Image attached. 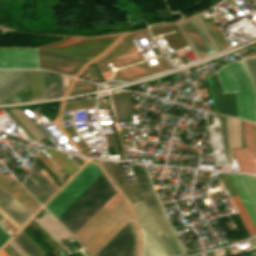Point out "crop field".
<instances>
[{
    "label": "crop field",
    "instance_id": "crop-field-1",
    "mask_svg": "<svg viewBox=\"0 0 256 256\" xmlns=\"http://www.w3.org/2000/svg\"><path fill=\"white\" fill-rule=\"evenodd\" d=\"M115 192L102 173L57 220L73 236Z\"/></svg>",
    "mask_w": 256,
    "mask_h": 256
},
{
    "label": "crop field",
    "instance_id": "crop-field-2",
    "mask_svg": "<svg viewBox=\"0 0 256 256\" xmlns=\"http://www.w3.org/2000/svg\"><path fill=\"white\" fill-rule=\"evenodd\" d=\"M223 92L235 91L238 117L256 122L255 93L241 60L226 64L216 72Z\"/></svg>",
    "mask_w": 256,
    "mask_h": 256
},
{
    "label": "crop field",
    "instance_id": "crop-field-3",
    "mask_svg": "<svg viewBox=\"0 0 256 256\" xmlns=\"http://www.w3.org/2000/svg\"><path fill=\"white\" fill-rule=\"evenodd\" d=\"M101 173L88 163L44 208L57 219Z\"/></svg>",
    "mask_w": 256,
    "mask_h": 256
},
{
    "label": "crop field",
    "instance_id": "crop-field-4",
    "mask_svg": "<svg viewBox=\"0 0 256 256\" xmlns=\"http://www.w3.org/2000/svg\"><path fill=\"white\" fill-rule=\"evenodd\" d=\"M116 38L117 36L94 39L70 38L40 48L90 60L108 47Z\"/></svg>",
    "mask_w": 256,
    "mask_h": 256
},
{
    "label": "crop field",
    "instance_id": "crop-field-5",
    "mask_svg": "<svg viewBox=\"0 0 256 256\" xmlns=\"http://www.w3.org/2000/svg\"><path fill=\"white\" fill-rule=\"evenodd\" d=\"M32 100L26 70H0V103Z\"/></svg>",
    "mask_w": 256,
    "mask_h": 256
},
{
    "label": "crop field",
    "instance_id": "crop-field-6",
    "mask_svg": "<svg viewBox=\"0 0 256 256\" xmlns=\"http://www.w3.org/2000/svg\"><path fill=\"white\" fill-rule=\"evenodd\" d=\"M143 60L130 34L107 56L94 63L103 80L110 79L111 70L107 63H113V68H118L130 63Z\"/></svg>",
    "mask_w": 256,
    "mask_h": 256
},
{
    "label": "crop field",
    "instance_id": "crop-field-7",
    "mask_svg": "<svg viewBox=\"0 0 256 256\" xmlns=\"http://www.w3.org/2000/svg\"><path fill=\"white\" fill-rule=\"evenodd\" d=\"M94 256H137L133 219L112 237Z\"/></svg>",
    "mask_w": 256,
    "mask_h": 256
},
{
    "label": "crop field",
    "instance_id": "crop-field-8",
    "mask_svg": "<svg viewBox=\"0 0 256 256\" xmlns=\"http://www.w3.org/2000/svg\"><path fill=\"white\" fill-rule=\"evenodd\" d=\"M130 167L133 172V175L136 178L137 184L140 188V191H141L142 196L145 200V203L148 207V210L162 232L159 235L167 243V245L169 246V248L171 249V251L173 252V254L175 256H181V253H180L177 245L175 244L171 234L169 233L168 229L166 228V226H165V224H164V222L154 204V201L149 192L148 186L146 184V181H145V178L143 176L140 166L130 164Z\"/></svg>",
    "mask_w": 256,
    "mask_h": 256
},
{
    "label": "crop field",
    "instance_id": "crop-field-9",
    "mask_svg": "<svg viewBox=\"0 0 256 256\" xmlns=\"http://www.w3.org/2000/svg\"><path fill=\"white\" fill-rule=\"evenodd\" d=\"M244 144L246 148L231 150L239 171L256 173V125L243 121L242 124Z\"/></svg>",
    "mask_w": 256,
    "mask_h": 256
},
{
    "label": "crop field",
    "instance_id": "crop-field-10",
    "mask_svg": "<svg viewBox=\"0 0 256 256\" xmlns=\"http://www.w3.org/2000/svg\"><path fill=\"white\" fill-rule=\"evenodd\" d=\"M102 163L103 167L105 168V170L107 171V173L109 174V176L111 177V179L113 180L114 184L116 185V187L119 189V191L121 192L120 188L118 187V185L116 184L115 180L113 179V177L111 176V174L109 173L107 167L105 166L104 162H100ZM118 173L120 174L122 180L124 181L125 185L127 186V188L129 189V191L131 192L132 196L134 197V199L136 200L137 203L133 204V207L135 209V213L137 216V219L139 221V223L155 238V240L161 245V247L163 248V250L166 252V254L168 256H174L172 254V252L170 251V249L168 248V246L166 245V243L161 239V237L157 234L160 232L159 228L157 227L156 223L154 222V220L152 219V217L150 216L146 205L144 202H138L133 191L131 190L125 176L124 173L119 165V163H115L113 162ZM122 193V192H121ZM123 194V193H122ZM123 196L125 197V195L123 194ZM126 198V197H125ZM127 199V198H126ZM127 201L130 203V201L127 199Z\"/></svg>",
    "mask_w": 256,
    "mask_h": 256
},
{
    "label": "crop field",
    "instance_id": "crop-field-11",
    "mask_svg": "<svg viewBox=\"0 0 256 256\" xmlns=\"http://www.w3.org/2000/svg\"><path fill=\"white\" fill-rule=\"evenodd\" d=\"M0 68H38L37 48L0 49Z\"/></svg>",
    "mask_w": 256,
    "mask_h": 256
},
{
    "label": "crop field",
    "instance_id": "crop-field-12",
    "mask_svg": "<svg viewBox=\"0 0 256 256\" xmlns=\"http://www.w3.org/2000/svg\"><path fill=\"white\" fill-rule=\"evenodd\" d=\"M228 175L256 227V177Z\"/></svg>",
    "mask_w": 256,
    "mask_h": 256
},
{
    "label": "crop field",
    "instance_id": "crop-field-13",
    "mask_svg": "<svg viewBox=\"0 0 256 256\" xmlns=\"http://www.w3.org/2000/svg\"><path fill=\"white\" fill-rule=\"evenodd\" d=\"M213 98L215 112L237 117L234 92L222 93L220 82L215 72L206 77Z\"/></svg>",
    "mask_w": 256,
    "mask_h": 256
},
{
    "label": "crop field",
    "instance_id": "crop-field-14",
    "mask_svg": "<svg viewBox=\"0 0 256 256\" xmlns=\"http://www.w3.org/2000/svg\"><path fill=\"white\" fill-rule=\"evenodd\" d=\"M39 68L55 71L58 73L73 75L83 64L82 62L65 59L38 52Z\"/></svg>",
    "mask_w": 256,
    "mask_h": 256
},
{
    "label": "crop field",
    "instance_id": "crop-field-15",
    "mask_svg": "<svg viewBox=\"0 0 256 256\" xmlns=\"http://www.w3.org/2000/svg\"><path fill=\"white\" fill-rule=\"evenodd\" d=\"M122 200L116 192L73 237L80 243Z\"/></svg>",
    "mask_w": 256,
    "mask_h": 256
},
{
    "label": "crop field",
    "instance_id": "crop-field-16",
    "mask_svg": "<svg viewBox=\"0 0 256 256\" xmlns=\"http://www.w3.org/2000/svg\"><path fill=\"white\" fill-rule=\"evenodd\" d=\"M0 208L20 226L32 215L1 187Z\"/></svg>",
    "mask_w": 256,
    "mask_h": 256
},
{
    "label": "crop field",
    "instance_id": "crop-field-17",
    "mask_svg": "<svg viewBox=\"0 0 256 256\" xmlns=\"http://www.w3.org/2000/svg\"><path fill=\"white\" fill-rule=\"evenodd\" d=\"M168 67L166 63L150 68L146 63L137 64L133 67L125 68L118 70L115 73L116 79L122 80H133L135 78L151 75L163 70H166Z\"/></svg>",
    "mask_w": 256,
    "mask_h": 256
},
{
    "label": "crop field",
    "instance_id": "crop-field-18",
    "mask_svg": "<svg viewBox=\"0 0 256 256\" xmlns=\"http://www.w3.org/2000/svg\"><path fill=\"white\" fill-rule=\"evenodd\" d=\"M219 175H220V177H221V179H222V181H223V183H224L228 193L229 194L230 193H234L235 190H234V188L232 186V183H231L228 175L225 174V173H219ZM230 197H231L233 203L235 204L237 210L239 211V213H240V215H241L245 225L247 226V228L249 229L250 233L252 234V236L256 235V229H255L253 223L251 222V220H250V218H249V216H248L244 206L242 205V203H241L237 193L231 194Z\"/></svg>",
    "mask_w": 256,
    "mask_h": 256
},
{
    "label": "crop field",
    "instance_id": "crop-field-19",
    "mask_svg": "<svg viewBox=\"0 0 256 256\" xmlns=\"http://www.w3.org/2000/svg\"><path fill=\"white\" fill-rule=\"evenodd\" d=\"M140 232L142 235V256H166L160 245L141 226Z\"/></svg>",
    "mask_w": 256,
    "mask_h": 256
},
{
    "label": "crop field",
    "instance_id": "crop-field-20",
    "mask_svg": "<svg viewBox=\"0 0 256 256\" xmlns=\"http://www.w3.org/2000/svg\"><path fill=\"white\" fill-rule=\"evenodd\" d=\"M27 72H28L33 100L43 99L38 70H27ZM41 78H42V73H41ZM42 84H43V79H42ZM43 90H44V87H43Z\"/></svg>",
    "mask_w": 256,
    "mask_h": 256
},
{
    "label": "crop field",
    "instance_id": "crop-field-21",
    "mask_svg": "<svg viewBox=\"0 0 256 256\" xmlns=\"http://www.w3.org/2000/svg\"><path fill=\"white\" fill-rule=\"evenodd\" d=\"M140 166H141V168H142V171H143V173H144V176H145V178H146V181H147V183H148V186H149V188H150V191H151V193H152V195H153V197H154V199H155V201H156V206H157V208H158V210H159V212H160V214H161L163 220L165 221V223H166V225H167L169 231L171 232V234H172V236H173V238H174L176 244L178 245V247H179V249H180L182 255H185V252H184V250H183L181 244L179 243V241H178V239H177V237H176V235H175V233H174V231H173V229H172V227H171V225H170V223H169V221H168V219H167V217H166V215H165V213H164V211H163L161 205L159 204V202H158V200H157V198H156V195H155V193H154V191H153V189H152V186H151V183H150V180H149V176H148L146 167H145V166H142V165H140ZM147 183H146V184H147Z\"/></svg>",
    "mask_w": 256,
    "mask_h": 256
},
{
    "label": "crop field",
    "instance_id": "crop-field-22",
    "mask_svg": "<svg viewBox=\"0 0 256 256\" xmlns=\"http://www.w3.org/2000/svg\"><path fill=\"white\" fill-rule=\"evenodd\" d=\"M228 128L231 148L243 146L240 134V121L229 118Z\"/></svg>",
    "mask_w": 256,
    "mask_h": 256
},
{
    "label": "crop field",
    "instance_id": "crop-field-23",
    "mask_svg": "<svg viewBox=\"0 0 256 256\" xmlns=\"http://www.w3.org/2000/svg\"><path fill=\"white\" fill-rule=\"evenodd\" d=\"M50 156L63 168V170L71 176L73 172L77 169L63 153L55 152L49 148L43 147Z\"/></svg>",
    "mask_w": 256,
    "mask_h": 256
},
{
    "label": "crop field",
    "instance_id": "crop-field-24",
    "mask_svg": "<svg viewBox=\"0 0 256 256\" xmlns=\"http://www.w3.org/2000/svg\"><path fill=\"white\" fill-rule=\"evenodd\" d=\"M28 129V131L39 141V139L44 135L37 126L26 117L20 110H10Z\"/></svg>",
    "mask_w": 256,
    "mask_h": 256
},
{
    "label": "crop field",
    "instance_id": "crop-field-25",
    "mask_svg": "<svg viewBox=\"0 0 256 256\" xmlns=\"http://www.w3.org/2000/svg\"><path fill=\"white\" fill-rule=\"evenodd\" d=\"M13 240L29 256H44L21 232Z\"/></svg>",
    "mask_w": 256,
    "mask_h": 256
},
{
    "label": "crop field",
    "instance_id": "crop-field-26",
    "mask_svg": "<svg viewBox=\"0 0 256 256\" xmlns=\"http://www.w3.org/2000/svg\"><path fill=\"white\" fill-rule=\"evenodd\" d=\"M23 186L43 204L49 197L29 178L27 177Z\"/></svg>",
    "mask_w": 256,
    "mask_h": 256
},
{
    "label": "crop field",
    "instance_id": "crop-field-27",
    "mask_svg": "<svg viewBox=\"0 0 256 256\" xmlns=\"http://www.w3.org/2000/svg\"><path fill=\"white\" fill-rule=\"evenodd\" d=\"M242 61L251 75V79L256 90V56L252 58L242 59Z\"/></svg>",
    "mask_w": 256,
    "mask_h": 256
},
{
    "label": "crop field",
    "instance_id": "crop-field-28",
    "mask_svg": "<svg viewBox=\"0 0 256 256\" xmlns=\"http://www.w3.org/2000/svg\"><path fill=\"white\" fill-rule=\"evenodd\" d=\"M42 73L45 81L47 98L56 97L51 73L44 71H42Z\"/></svg>",
    "mask_w": 256,
    "mask_h": 256
},
{
    "label": "crop field",
    "instance_id": "crop-field-29",
    "mask_svg": "<svg viewBox=\"0 0 256 256\" xmlns=\"http://www.w3.org/2000/svg\"><path fill=\"white\" fill-rule=\"evenodd\" d=\"M198 17H199L201 23L203 24V26H204V28H205L207 34L209 35V37H210L212 43L214 44L216 50H217L218 52L221 51V48H220L219 44L217 43L216 39L214 38L212 32L210 31V29H209L208 25L206 24L205 20L203 19L201 13L198 14Z\"/></svg>",
    "mask_w": 256,
    "mask_h": 256
},
{
    "label": "crop field",
    "instance_id": "crop-field-30",
    "mask_svg": "<svg viewBox=\"0 0 256 256\" xmlns=\"http://www.w3.org/2000/svg\"><path fill=\"white\" fill-rule=\"evenodd\" d=\"M38 51L44 52V53H48V54H52V55H57V56L65 57V58H70V59H74V60H78V61H82V62H86L85 60L73 58V57H70V56L58 54V53H55V52H51V51H47V50H43V49H39V48H38Z\"/></svg>",
    "mask_w": 256,
    "mask_h": 256
},
{
    "label": "crop field",
    "instance_id": "crop-field-31",
    "mask_svg": "<svg viewBox=\"0 0 256 256\" xmlns=\"http://www.w3.org/2000/svg\"><path fill=\"white\" fill-rule=\"evenodd\" d=\"M221 130H222L224 150H225L226 156L228 157L229 154H228V151H227V148H226L225 135H224V116H222V115H221Z\"/></svg>",
    "mask_w": 256,
    "mask_h": 256
},
{
    "label": "crop field",
    "instance_id": "crop-field-32",
    "mask_svg": "<svg viewBox=\"0 0 256 256\" xmlns=\"http://www.w3.org/2000/svg\"><path fill=\"white\" fill-rule=\"evenodd\" d=\"M28 176L50 197L51 194L40 184V182L31 173H29Z\"/></svg>",
    "mask_w": 256,
    "mask_h": 256
},
{
    "label": "crop field",
    "instance_id": "crop-field-33",
    "mask_svg": "<svg viewBox=\"0 0 256 256\" xmlns=\"http://www.w3.org/2000/svg\"><path fill=\"white\" fill-rule=\"evenodd\" d=\"M5 220L3 217L0 216V222ZM9 238L0 231V247L8 240Z\"/></svg>",
    "mask_w": 256,
    "mask_h": 256
},
{
    "label": "crop field",
    "instance_id": "crop-field-34",
    "mask_svg": "<svg viewBox=\"0 0 256 256\" xmlns=\"http://www.w3.org/2000/svg\"><path fill=\"white\" fill-rule=\"evenodd\" d=\"M48 167H49V169L52 171V172H54L56 175H57V173L50 167V166H52L46 159H45V157L38 151V153L36 154ZM58 176V175H57Z\"/></svg>",
    "mask_w": 256,
    "mask_h": 256
},
{
    "label": "crop field",
    "instance_id": "crop-field-35",
    "mask_svg": "<svg viewBox=\"0 0 256 256\" xmlns=\"http://www.w3.org/2000/svg\"><path fill=\"white\" fill-rule=\"evenodd\" d=\"M0 256H8L3 250L0 252Z\"/></svg>",
    "mask_w": 256,
    "mask_h": 256
},
{
    "label": "crop field",
    "instance_id": "crop-field-36",
    "mask_svg": "<svg viewBox=\"0 0 256 256\" xmlns=\"http://www.w3.org/2000/svg\"><path fill=\"white\" fill-rule=\"evenodd\" d=\"M253 55H255L254 52L250 53V54L247 55V56H253ZM247 56H244V57H247Z\"/></svg>",
    "mask_w": 256,
    "mask_h": 256
}]
</instances>
